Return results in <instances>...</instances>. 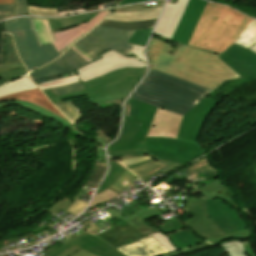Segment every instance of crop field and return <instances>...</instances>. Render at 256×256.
<instances>
[{"label":"crop field","instance_id":"obj_1","mask_svg":"<svg viewBox=\"0 0 256 256\" xmlns=\"http://www.w3.org/2000/svg\"><path fill=\"white\" fill-rule=\"evenodd\" d=\"M217 104L206 97L184 117L159 108L145 141L148 153L181 165L205 154L198 143L202 121Z\"/></svg>","mask_w":256,"mask_h":256},{"label":"crop field","instance_id":"obj_2","mask_svg":"<svg viewBox=\"0 0 256 256\" xmlns=\"http://www.w3.org/2000/svg\"><path fill=\"white\" fill-rule=\"evenodd\" d=\"M172 46L152 38L148 48L150 68L215 90L226 80L241 78L223 63L219 55L178 44L173 55ZM169 63V65H168Z\"/></svg>","mask_w":256,"mask_h":256},{"label":"crop field","instance_id":"obj_3","mask_svg":"<svg viewBox=\"0 0 256 256\" xmlns=\"http://www.w3.org/2000/svg\"><path fill=\"white\" fill-rule=\"evenodd\" d=\"M212 92L207 88L152 69L131 98L184 116Z\"/></svg>","mask_w":256,"mask_h":256},{"label":"crop field","instance_id":"obj_4","mask_svg":"<svg viewBox=\"0 0 256 256\" xmlns=\"http://www.w3.org/2000/svg\"><path fill=\"white\" fill-rule=\"evenodd\" d=\"M251 20L229 7L208 2L189 45L221 54L235 43Z\"/></svg>","mask_w":256,"mask_h":256},{"label":"crop field","instance_id":"obj_5","mask_svg":"<svg viewBox=\"0 0 256 256\" xmlns=\"http://www.w3.org/2000/svg\"><path fill=\"white\" fill-rule=\"evenodd\" d=\"M109 10L57 19L29 18L39 46L51 43L61 54L70 44L94 28Z\"/></svg>","mask_w":256,"mask_h":256},{"label":"crop field","instance_id":"obj_6","mask_svg":"<svg viewBox=\"0 0 256 256\" xmlns=\"http://www.w3.org/2000/svg\"><path fill=\"white\" fill-rule=\"evenodd\" d=\"M146 68H124L108 75L83 82L85 90L67 95L57 96L52 89L43 92L53 104L63 99L88 95L93 104L110 100L124 99L143 77Z\"/></svg>","mask_w":256,"mask_h":256},{"label":"crop field","instance_id":"obj_7","mask_svg":"<svg viewBox=\"0 0 256 256\" xmlns=\"http://www.w3.org/2000/svg\"><path fill=\"white\" fill-rule=\"evenodd\" d=\"M157 109L130 98L125 104L121 135L116 142L109 145L107 152L146 149L144 141Z\"/></svg>","mask_w":256,"mask_h":256},{"label":"crop field","instance_id":"obj_8","mask_svg":"<svg viewBox=\"0 0 256 256\" xmlns=\"http://www.w3.org/2000/svg\"><path fill=\"white\" fill-rule=\"evenodd\" d=\"M134 30H122L97 25L78 42L74 43L95 61L98 54L111 48L122 54L130 55L133 45L125 43Z\"/></svg>","mask_w":256,"mask_h":256},{"label":"crop field","instance_id":"obj_9","mask_svg":"<svg viewBox=\"0 0 256 256\" xmlns=\"http://www.w3.org/2000/svg\"><path fill=\"white\" fill-rule=\"evenodd\" d=\"M122 65V66H120ZM124 67H146V64L141 62L136 57L127 58L122 54H119L113 50L103 54L102 58L96 62L89 64L88 66L78 70V75L39 84L41 90L49 89L65 84H70L78 81H86L98 76L108 74L114 70Z\"/></svg>","mask_w":256,"mask_h":256},{"label":"crop field","instance_id":"obj_10","mask_svg":"<svg viewBox=\"0 0 256 256\" xmlns=\"http://www.w3.org/2000/svg\"><path fill=\"white\" fill-rule=\"evenodd\" d=\"M204 200L206 201V211L210 218L226 235L245 229L246 224L239 219L235 209L220 200Z\"/></svg>","mask_w":256,"mask_h":256},{"label":"crop field","instance_id":"obj_11","mask_svg":"<svg viewBox=\"0 0 256 256\" xmlns=\"http://www.w3.org/2000/svg\"><path fill=\"white\" fill-rule=\"evenodd\" d=\"M187 198V209L194 217L185 220L192 230L205 240L224 233L213 223L205 211V201L201 198Z\"/></svg>","mask_w":256,"mask_h":256},{"label":"crop field","instance_id":"obj_12","mask_svg":"<svg viewBox=\"0 0 256 256\" xmlns=\"http://www.w3.org/2000/svg\"><path fill=\"white\" fill-rule=\"evenodd\" d=\"M242 78L256 77V53L234 44L219 57Z\"/></svg>","mask_w":256,"mask_h":256},{"label":"crop field","instance_id":"obj_13","mask_svg":"<svg viewBox=\"0 0 256 256\" xmlns=\"http://www.w3.org/2000/svg\"><path fill=\"white\" fill-rule=\"evenodd\" d=\"M77 237V236H76ZM73 245L97 256H126L95 236L85 232L47 256H58Z\"/></svg>","mask_w":256,"mask_h":256},{"label":"crop field","instance_id":"obj_14","mask_svg":"<svg viewBox=\"0 0 256 256\" xmlns=\"http://www.w3.org/2000/svg\"><path fill=\"white\" fill-rule=\"evenodd\" d=\"M206 3L201 0L189 1L171 38L172 40L188 44Z\"/></svg>","mask_w":256,"mask_h":256},{"label":"crop field","instance_id":"obj_15","mask_svg":"<svg viewBox=\"0 0 256 256\" xmlns=\"http://www.w3.org/2000/svg\"><path fill=\"white\" fill-rule=\"evenodd\" d=\"M85 60H83L79 55H77L70 48L57 60L40 68L32 73H29L33 80L50 77L70 70L79 69L87 65ZM74 66V68H72Z\"/></svg>","mask_w":256,"mask_h":256},{"label":"crop field","instance_id":"obj_16","mask_svg":"<svg viewBox=\"0 0 256 256\" xmlns=\"http://www.w3.org/2000/svg\"><path fill=\"white\" fill-rule=\"evenodd\" d=\"M24 33L32 57L25 59L22 62L27 66L29 72L60 56L51 44L39 48L32 31H25Z\"/></svg>","mask_w":256,"mask_h":256},{"label":"crop field","instance_id":"obj_17","mask_svg":"<svg viewBox=\"0 0 256 256\" xmlns=\"http://www.w3.org/2000/svg\"><path fill=\"white\" fill-rule=\"evenodd\" d=\"M188 0H178L176 5H165L154 33L171 38Z\"/></svg>","mask_w":256,"mask_h":256},{"label":"crop field","instance_id":"obj_18","mask_svg":"<svg viewBox=\"0 0 256 256\" xmlns=\"http://www.w3.org/2000/svg\"><path fill=\"white\" fill-rule=\"evenodd\" d=\"M117 249L128 256H160L170 253L151 236Z\"/></svg>","mask_w":256,"mask_h":256},{"label":"crop field","instance_id":"obj_19","mask_svg":"<svg viewBox=\"0 0 256 256\" xmlns=\"http://www.w3.org/2000/svg\"><path fill=\"white\" fill-rule=\"evenodd\" d=\"M10 100H27L37 105H40L46 109H49L66 119L50 102L49 100L41 93L39 89L30 90L21 93L11 94L5 97L0 98V102L10 101ZM67 120V119H66Z\"/></svg>","mask_w":256,"mask_h":256},{"label":"crop field","instance_id":"obj_20","mask_svg":"<svg viewBox=\"0 0 256 256\" xmlns=\"http://www.w3.org/2000/svg\"><path fill=\"white\" fill-rule=\"evenodd\" d=\"M133 176L134 175L126 169L124 173L121 175V177L109 189L103 191L102 193L94 197V200L90 206L106 201L108 199H111L119 195L126 188V187L120 186L122 184L121 182L125 180L131 183L134 179ZM129 184L127 186H129Z\"/></svg>","mask_w":256,"mask_h":256},{"label":"crop field","instance_id":"obj_21","mask_svg":"<svg viewBox=\"0 0 256 256\" xmlns=\"http://www.w3.org/2000/svg\"><path fill=\"white\" fill-rule=\"evenodd\" d=\"M250 241L226 240L218 245L224 247L229 256H256Z\"/></svg>","mask_w":256,"mask_h":256},{"label":"crop field","instance_id":"obj_22","mask_svg":"<svg viewBox=\"0 0 256 256\" xmlns=\"http://www.w3.org/2000/svg\"><path fill=\"white\" fill-rule=\"evenodd\" d=\"M37 88L34 83L30 80L29 76L19 78L17 80H13L3 87L0 88V97L15 93V92H20V91H26L30 89H35Z\"/></svg>","mask_w":256,"mask_h":256},{"label":"crop field","instance_id":"obj_23","mask_svg":"<svg viewBox=\"0 0 256 256\" xmlns=\"http://www.w3.org/2000/svg\"><path fill=\"white\" fill-rule=\"evenodd\" d=\"M168 236L173 242L174 246L179 248L180 250L204 242L195 237L188 229L179 231Z\"/></svg>","mask_w":256,"mask_h":256},{"label":"crop field","instance_id":"obj_24","mask_svg":"<svg viewBox=\"0 0 256 256\" xmlns=\"http://www.w3.org/2000/svg\"><path fill=\"white\" fill-rule=\"evenodd\" d=\"M160 9L135 12V13H111L107 18L121 21H138L157 18Z\"/></svg>","mask_w":256,"mask_h":256},{"label":"crop field","instance_id":"obj_25","mask_svg":"<svg viewBox=\"0 0 256 256\" xmlns=\"http://www.w3.org/2000/svg\"><path fill=\"white\" fill-rule=\"evenodd\" d=\"M10 104H13V105H21V106H24L25 108L27 109H30V110H33L35 112H38L48 118H51L59 123H62V124H65L69 127H71L72 129L75 130V128L72 126L71 123L67 122L66 120L62 119L61 117L57 116L56 114L40 107V106H37L35 104H32L30 102H26V101H10V102H4L2 103V106H8ZM77 131V130H76Z\"/></svg>","mask_w":256,"mask_h":256},{"label":"crop field","instance_id":"obj_26","mask_svg":"<svg viewBox=\"0 0 256 256\" xmlns=\"http://www.w3.org/2000/svg\"><path fill=\"white\" fill-rule=\"evenodd\" d=\"M156 19L138 22H120L104 19L100 25L122 29H146L153 27Z\"/></svg>","mask_w":256,"mask_h":256},{"label":"crop field","instance_id":"obj_27","mask_svg":"<svg viewBox=\"0 0 256 256\" xmlns=\"http://www.w3.org/2000/svg\"><path fill=\"white\" fill-rule=\"evenodd\" d=\"M109 163H110V170H109L105 180L102 182L101 187L99 188L97 193L110 187L119 178V176L122 174V172L126 169L120 163H118L117 161H115L111 158H109Z\"/></svg>","mask_w":256,"mask_h":256},{"label":"crop field","instance_id":"obj_28","mask_svg":"<svg viewBox=\"0 0 256 256\" xmlns=\"http://www.w3.org/2000/svg\"><path fill=\"white\" fill-rule=\"evenodd\" d=\"M256 42V20H252L236 44L249 48Z\"/></svg>","mask_w":256,"mask_h":256},{"label":"crop field","instance_id":"obj_29","mask_svg":"<svg viewBox=\"0 0 256 256\" xmlns=\"http://www.w3.org/2000/svg\"><path fill=\"white\" fill-rule=\"evenodd\" d=\"M75 125L83 114L74 106L71 101L55 105Z\"/></svg>","mask_w":256,"mask_h":256},{"label":"crop field","instance_id":"obj_30","mask_svg":"<svg viewBox=\"0 0 256 256\" xmlns=\"http://www.w3.org/2000/svg\"><path fill=\"white\" fill-rule=\"evenodd\" d=\"M4 24L6 32L31 30L28 18H16Z\"/></svg>","mask_w":256,"mask_h":256},{"label":"crop field","instance_id":"obj_31","mask_svg":"<svg viewBox=\"0 0 256 256\" xmlns=\"http://www.w3.org/2000/svg\"><path fill=\"white\" fill-rule=\"evenodd\" d=\"M14 37L17 51L21 60L30 57V53L27 47L26 39L23 32H11Z\"/></svg>","mask_w":256,"mask_h":256},{"label":"crop field","instance_id":"obj_32","mask_svg":"<svg viewBox=\"0 0 256 256\" xmlns=\"http://www.w3.org/2000/svg\"><path fill=\"white\" fill-rule=\"evenodd\" d=\"M105 171L106 163H94L93 173L85 184L91 187H96Z\"/></svg>","mask_w":256,"mask_h":256},{"label":"crop field","instance_id":"obj_33","mask_svg":"<svg viewBox=\"0 0 256 256\" xmlns=\"http://www.w3.org/2000/svg\"><path fill=\"white\" fill-rule=\"evenodd\" d=\"M151 29H146V30H135L133 35L130 37V39L127 41L128 43L132 44H137V45H142L146 46L147 41L149 39Z\"/></svg>","mask_w":256,"mask_h":256},{"label":"crop field","instance_id":"obj_34","mask_svg":"<svg viewBox=\"0 0 256 256\" xmlns=\"http://www.w3.org/2000/svg\"><path fill=\"white\" fill-rule=\"evenodd\" d=\"M140 153H147L146 150H142V151H130V152H115V153H108L109 156L113 157V158H117V157H122V156H128V155H134V154H140ZM149 155V154H148ZM151 156L153 159L151 160H147V161H144V162H141V163H137V164H134V165H131V166H127V168L131 169V168H134L136 166H139V165H142V164H145V163H148L150 161H153V160H156V161H159L161 163H168L169 161H166V160H163V159H160V158H157L153 155H149Z\"/></svg>","mask_w":256,"mask_h":256},{"label":"crop field","instance_id":"obj_35","mask_svg":"<svg viewBox=\"0 0 256 256\" xmlns=\"http://www.w3.org/2000/svg\"><path fill=\"white\" fill-rule=\"evenodd\" d=\"M20 60L14 46L13 39L10 34L6 33V63Z\"/></svg>","mask_w":256,"mask_h":256},{"label":"crop field","instance_id":"obj_36","mask_svg":"<svg viewBox=\"0 0 256 256\" xmlns=\"http://www.w3.org/2000/svg\"><path fill=\"white\" fill-rule=\"evenodd\" d=\"M164 164H161L159 162H156V161H153V162H150L148 164H145V165H142V166H139V167H136L134 169H131V171L136 175L138 176L139 178L148 174L149 172L157 169L158 167L162 166Z\"/></svg>","mask_w":256,"mask_h":256},{"label":"crop field","instance_id":"obj_37","mask_svg":"<svg viewBox=\"0 0 256 256\" xmlns=\"http://www.w3.org/2000/svg\"><path fill=\"white\" fill-rule=\"evenodd\" d=\"M226 239L248 240V239H251V232L249 231V229H245L238 233L227 235V236L212 240L210 242L217 245L219 242L224 241Z\"/></svg>","mask_w":256,"mask_h":256},{"label":"crop field","instance_id":"obj_38","mask_svg":"<svg viewBox=\"0 0 256 256\" xmlns=\"http://www.w3.org/2000/svg\"><path fill=\"white\" fill-rule=\"evenodd\" d=\"M159 226V228L162 229L161 232H163L166 235L185 229V227L180 223L178 219L166 222Z\"/></svg>","mask_w":256,"mask_h":256},{"label":"crop field","instance_id":"obj_39","mask_svg":"<svg viewBox=\"0 0 256 256\" xmlns=\"http://www.w3.org/2000/svg\"><path fill=\"white\" fill-rule=\"evenodd\" d=\"M26 74H27L26 68L0 72V77H2V80H0V85L10 81L13 78L20 77Z\"/></svg>","mask_w":256,"mask_h":256},{"label":"crop field","instance_id":"obj_40","mask_svg":"<svg viewBox=\"0 0 256 256\" xmlns=\"http://www.w3.org/2000/svg\"><path fill=\"white\" fill-rule=\"evenodd\" d=\"M83 89L84 88H83L81 82H78V83H74V84L54 88L53 90L55 91V93L57 95H61V94H67V93L75 92V91H80V90H83Z\"/></svg>","mask_w":256,"mask_h":256},{"label":"crop field","instance_id":"obj_41","mask_svg":"<svg viewBox=\"0 0 256 256\" xmlns=\"http://www.w3.org/2000/svg\"><path fill=\"white\" fill-rule=\"evenodd\" d=\"M28 15L57 16V10L29 6Z\"/></svg>","mask_w":256,"mask_h":256},{"label":"crop field","instance_id":"obj_42","mask_svg":"<svg viewBox=\"0 0 256 256\" xmlns=\"http://www.w3.org/2000/svg\"><path fill=\"white\" fill-rule=\"evenodd\" d=\"M180 166H181V165H178V164H176V163L170 162V163L166 164L165 166H163V167H161V168H159V169H157V170H155V171L149 173L148 175H146V176H144V177H142V178H140V179H142V180L144 181V180L150 178V177L153 176V175H154V176L157 175V174L160 173V172L165 175V174H167V173L173 171L174 169H176V168H178V167H180Z\"/></svg>","mask_w":256,"mask_h":256},{"label":"crop field","instance_id":"obj_43","mask_svg":"<svg viewBox=\"0 0 256 256\" xmlns=\"http://www.w3.org/2000/svg\"><path fill=\"white\" fill-rule=\"evenodd\" d=\"M151 236L154 237L157 241H159L163 246H165L171 252L179 250L173 246L168 236L164 235L163 233L158 232V233L151 234Z\"/></svg>","mask_w":256,"mask_h":256},{"label":"crop field","instance_id":"obj_44","mask_svg":"<svg viewBox=\"0 0 256 256\" xmlns=\"http://www.w3.org/2000/svg\"><path fill=\"white\" fill-rule=\"evenodd\" d=\"M27 0H15V16L27 15Z\"/></svg>","mask_w":256,"mask_h":256},{"label":"crop field","instance_id":"obj_45","mask_svg":"<svg viewBox=\"0 0 256 256\" xmlns=\"http://www.w3.org/2000/svg\"><path fill=\"white\" fill-rule=\"evenodd\" d=\"M163 4L144 9L142 4L114 9L112 12H134L162 7Z\"/></svg>","mask_w":256,"mask_h":256},{"label":"crop field","instance_id":"obj_46","mask_svg":"<svg viewBox=\"0 0 256 256\" xmlns=\"http://www.w3.org/2000/svg\"><path fill=\"white\" fill-rule=\"evenodd\" d=\"M209 246H212V245L206 242L204 244H199V245L193 246L191 248L184 249V250L178 251V252H173V253L163 255V256H178V255H182V254H185V253H188V252L200 250V249H203V248H206V247H209Z\"/></svg>","mask_w":256,"mask_h":256},{"label":"crop field","instance_id":"obj_47","mask_svg":"<svg viewBox=\"0 0 256 256\" xmlns=\"http://www.w3.org/2000/svg\"><path fill=\"white\" fill-rule=\"evenodd\" d=\"M59 256H95L94 254L87 253L75 246L69 249L67 252L59 255Z\"/></svg>","mask_w":256,"mask_h":256},{"label":"crop field","instance_id":"obj_48","mask_svg":"<svg viewBox=\"0 0 256 256\" xmlns=\"http://www.w3.org/2000/svg\"><path fill=\"white\" fill-rule=\"evenodd\" d=\"M69 203H71V200L65 197L58 203L54 204L53 207L51 209H49L48 211L56 215L59 211H61Z\"/></svg>","mask_w":256,"mask_h":256},{"label":"crop field","instance_id":"obj_49","mask_svg":"<svg viewBox=\"0 0 256 256\" xmlns=\"http://www.w3.org/2000/svg\"><path fill=\"white\" fill-rule=\"evenodd\" d=\"M13 15V5H0V20Z\"/></svg>","mask_w":256,"mask_h":256},{"label":"crop field","instance_id":"obj_50","mask_svg":"<svg viewBox=\"0 0 256 256\" xmlns=\"http://www.w3.org/2000/svg\"><path fill=\"white\" fill-rule=\"evenodd\" d=\"M96 133L98 134L97 137L95 138L96 142L98 144H100L103 148H105V146L112 141L113 139L108 138L105 133L101 130L96 131Z\"/></svg>","mask_w":256,"mask_h":256},{"label":"crop field","instance_id":"obj_51","mask_svg":"<svg viewBox=\"0 0 256 256\" xmlns=\"http://www.w3.org/2000/svg\"><path fill=\"white\" fill-rule=\"evenodd\" d=\"M86 205H87V202L78 200L74 206H72L70 209H68V211L73 212L78 215L85 209Z\"/></svg>","mask_w":256,"mask_h":256},{"label":"crop field","instance_id":"obj_52","mask_svg":"<svg viewBox=\"0 0 256 256\" xmlns=\"http://www.w3.org/2000/svg\"><path fill=\"white\" fill-rule=\"evenodd\" d=\"M24 67L21 63V61L18 62H12V63H7V64H1L0 65V71H6L9 69H16V68H22Z\"/></svg>","mask_w":256,"mask_h":256},{"label":"crop field","instance_id":"obj_53","mask_svg":"<svg viewBox=\"0 0 256 256\" xmlns=\"http://www.w3.org/2000/svg\"><path fill=\"white\" fill-rule=\"evenodd\" d=\"M77 74V71H71L62 75H58V76H54V77H50V78H45V79H40V80H36L35 83L39 84V83H43V82H47V81H51V80H55V79H59V78H63V77H67V76H71V75H75Z\"/></svg>","mask_w":256,"mask_h":256},{"label":"crop field","instance_id":"obj_54","mask_svg":"<svg viewBox=\"0 0 256 256\" xmlns=\"http://www.w3.org/2000/svg\"><path fill=\"white\" fill-rule=\"evenodd\" d=\"M144 49L145 47L134 45L132 54H134L137 58L145 62Z\"/></svg>","mask_w":256,"mask_h":256},{"label":"crop field","instance_id":"obj_55","mask_svg":"<svg viewBox=\"0 0 256 256\" xmlns=\"http://www.w3.org/2000/svg\"><path fill=\"white\" fill-rule=\"evenodd\" d=\"M147 159H151L149 156H141V157H137V158H133V159H129V160H124V161H120L123 165L127 166V165H131L137 162H141Z\"/></svg>","mask_w":256,"mask_h":256},{"label":"crop field","instance_id":"obj_56","mask_svg":"<svg viewBox=\"0 0 256 256\" xmlns=\"http://www.w3.org/2000/svg\"><path fill=\"white\" fill-rule=\"evenodd\" d=\"M70 48H72L76 53H78L82 58H84L89 63L93 62L94 60L91 59L85 52H83L79 47L76 45H72Z\"/></svg>","mask_w":256,"mask_h":256},{"label":"crop field","instance_id":"obj_57","mask_svg":"<svg viewBox=\"0 0 256 256\" xmlns=\"http://www.w3.org/2000/svg\"><path fill=\"white\" fill-rule=\"evenodd\" d=\"M119 2H120V1L107 3V4H104V5L95 7V8L87 9V10L93 11V10H98V9H102V8L114 7V6L117 5Z\"/></svg>","mask_w":256,"mask_h":256},{"label":"crop field","instance_id":"obj_58","mask_svg":"<svg viewBox=\"0 0 256 256\" xmlns=\"http://www.w3.org/2000/svg\"><path fill=\"white\" fill-rule=\"evenodd\" d=\"M25 237L30 238V237H34V236L31 235V233H30V234H28V235H26V236H22V237H18V238L9 239V240L5 241V243H6V244H10V243H13V242H17V240L22 239V238H25Z\"/></svg>","mask_w":256,"mask_h":256},{"label":"crop field","instance_id":"obj_59","mask_svg":"<svg viewBox=\"0 0 256 256\" xmlns=\"http://www.w3.org/2000/svg\"><path fill=\"white\" fill-rule=\"evenodd\" d=\"M141 1H147V0H124L119 5L136 3V2H141Z\"/></svg>","mask_w":256,"mask_h":256},{"label":"crop field","instance_id":"obj_60","mask_svg":"<svg viewBox=\"0 0 256 256\" xmlns=\"http://www.w3.org/2000/svg\"><path fill=\"white\" fill-rule=\"evenodd\" d=\"M0 4H13V0H0Z\"/></svg>","mask_w":256,"mask_h":256},{"label":"crop field","instance_id":"obj_61","mask_svg":"<svg viewBox=\"0 0 256 256\" xmlns=\"http://www.w3.org/2000/svg\"><path fill=\"white\" fill-rule=\"evenodd\" d=\"M249 49H251V50H253V51H255V52H256V44H255V45H253L252 47H250Z\"/></svg>","mask_w":256,"mask_h":256},{"label":"crop field","instance_id":"obj_62","mask_svg":"<svg viewBox=\"0 0 256 256\" xmlns=\"http://www.w3.org/2000/svg\"><path fill=\"white\" fill-rule=\"evenodd\" d=\"M0 108H2L1 103H0Z\"/></svg>","mask_w":256,"mask_h":256}]
</instances>
